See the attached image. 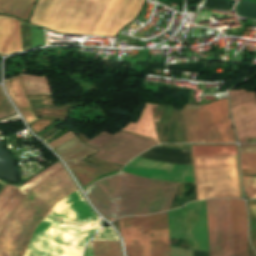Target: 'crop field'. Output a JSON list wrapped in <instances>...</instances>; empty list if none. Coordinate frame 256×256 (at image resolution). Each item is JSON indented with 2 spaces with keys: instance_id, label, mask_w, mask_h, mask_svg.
Wrapping results in <instances>:
<instances>
[{
  "instance_id": "obj_22",
  "label": "crop field",
  "mask_w": 256,
  "mask_h": 256,
  "mask_svg": "<svg viewBox=\"0 0 256 256\" xmlns=\"http://www.w3.org/2000/svg\"><path fill=\"white\" fill-rule=\"evenodd\" d=\"M23 51L31 48L30 26L20 22Z\"/></svg>"
},
{
  "instance_id": "obj_20",
  "label": "crop field",
  "mask_w": 256,
  "mask_h": 256,
  "mask_svg": "<svg viewBox=\"0 0 256 256\" xmlns=\"http://www.w3.org/2000/svg\"><path fill=\"white\" fill-rule=\"evenodd\" d=\"M193 156H227L237 155L236 145L226 146H192Z\"/></svg>"
},
{
  "instance_id": "obj_25",
  "label": "crop field",
  "mask_w": 256,
  "mask_h": 256,
  "mask_svg": "<svg viewBox=\"0 0 256 256\" xmlns=\"http://www.w3.org/2000/svg\"><path fill=\"white\" fill-rule=\"evenodd\" d=\"M16 52L22 51L20 40L19 21L13 18Z\"/></svg>"
},
{
  "instance_id": "obj_13",
  "label": "crop field",
  "mask_w": 256,
  "mask_h": 256,
  "mask_svg": "<svg viewBox=\"0 0 256 256\" xmlns=\"http://www.w3.org/2000/svg\"><path fill=\"white\" fill-rule=\"evenodd\" d=\"M229 204H230L234 256H243V251H244V256H247L246 248H247L248 236H247V210H246L245 201L239 200L242 239H243V251H242V239H241L238 200L229 199Z\"/></svg>"
},
{
  "instance_id": "obj_24",
  "label": "crop field",
  "mask_w": 256,
  "mask_h": 256,
  "mask_svg": "<svg viewBox=\"0 0 256 256\" xmlns=\"http://www.w3.org/2000/svg\"><path fill=\"white\" fill-rule=\"evenodd\" d=\"M31 41L32 47H38L43 45L42 31L31 26Z\"/></svg>"
},
{
  "instance_id": "obj_5",
  "label": "crop field",
  "mask_w": 256,
  "mask_h": 256,
  "mask_svg": "<svg viewBox=\"0 0 256 256\" xmlns=\"http://www.w3.org/2000/svg\"><path fill=\"white\" fill-rule=\"evenodd\" d=\"M188 143L235 142L227 98L182 110Z\"/></svg>"
},
{
  "instance_id": "obj_17",
  "label": "crop field",
  "mask_w": 256,
  "mask_h": 256,
  "mask_svg": "<svg viewBox=\"0 0 256 256\" xmlns=\"http://www.w3.org/2000/svg\"><path fill=\"white\" fill-rule=\"evenodd\" d=\"M15 52L12 18L0 15V54Z\"/></svg>"
},
{
  "instance_id": "obj_15",
  "label": "crop field",
  "mask_w": 256,
  "mask_h": 256,
  "mask_svg": "<svg viewBox=\"0 0 256 256\" xmlns=\"http://www.w3.org/2000/svg\"><path fill=\"white\" fill-rule=\"evenodd\" d=\"M53 150L65 160L69 168L97 151L84 145L76 137Z\"/></svg>"
},
{
  "instance_id": "obj_19",
  "label": "crop field",
  "mask_w": 256,
  "mask_h": 256,
  "mask_svg": "<svg viewBox=\"0 0 256 256\" xmlns=\"http://www.w3.org/2000/svg\"><path fill=\"white\" fill-rule=\"evenodd\" d=\"M27 95L52 94L46 77L21 76Z\"/></svg>"
},
{
  "instance_id": "obj_27",
  "label": "crop field",
  "mask_w": 256,
  "mask_h": 256,
  "mask_svg": "<svg viewBox=\"0 0 256 256\" xmlns=\"http://www.w3.org/2000/svg\"><path fill=\"white\" fill-rule=\"evenodd\" d=\"M242 175L256 174V169H241Z\"/></svg>"
},
{
  "instance_id": "obj_3",
  "label": "crop field",
  "mask_w": 256,
  "mask_h": 256,
  "mask_svg": "<svg viewBox=\"0 0 256 256\" xmlns=\"http://www.w3.org/2000/svg\"><path fill=\"white\" fill-rule=\"evenodd\" d=\"M178 185L120 172L93 184L85 193L103 216L117 219L168 210Z\"/></svg>"
},
{
  "instance_id": "obj_1",
  "label": "crop field",
  "mask_w": 256,
  "mask_h": 256,
  "mask_svg": "<svg viewBox=\"0 0 256 256\" xmlns=\"http://www.w3.org/2000/svg\"><path fill=\"white\" fill-rule=\"evenodd\" d=\"M145 0H38L30 23L65 33L116 36Z\"/></svg>"
},
{
  "instance_id": "obj_7",
  "label": "crop field",
  "mask_w": 256,
  "mask_h": 256,
  "mask_svg": "<svg viewBox=\"0 0 256 256\" xmlns=\"http://www.w3.org/2000/svg\"><path fill=\"white\" fill-rule=\"evenodd\" d=\"M124 228H137L142 234H149V231L168 228L167 212L161 214L148 215L144 217H126L121 219ZM120 234L124 245H132L131 239H142L143 256H170L168 229L150 232V235H141L136 229H123L119 219ZM148 239L159 240L152 241ZM133 246H124L127 256H142L141 240H132Z\"/></svg>"
},
{
  "instance_id": "obj_29",
  "label": "crop field",
  "mask_w": 256,
  "mask_h": 256,
  "mask_svg": "<svg viewBox=\"0 0 256 256\" xmlns=\"http://www.w3.org/2000/svg\"><path fill=\"white\" fill-rule=\"evenodd\" d=\"M200 29L197 28L195 35H191V37H199L201 38V32H199Z\"/></svg>"
},
{
  "instance_id": "obj_4",
  "label": "crop field",
  "mask_w": 256,
  "mask_h": 256,
  "mask_svg": "<svg viewBox=\"0 0 256 256\" xmlns=\"http://www.w3.org/2000/svg\"><path fill=\"white\" fill-rule=\"evenodd\" d=\"M75 190L64 169L31 190L2 227L0 256H23L37 225L57 202Z\"/></svg>"
},
{
  "instance_id": "obj_21",
  "label": "crop field",
  "mask_w": 256,
  "mask_h": 256,
  "mask_svg": "<svg viewBox=\"0 0 256 256\" xmlns=\"http://www.w3.org/2000/svg\"><path fill=\"white\" fill-rule=\"evenodd\" d=\"M244 190L248 198H256V177H242Z\"/></svg>"
},
{
  "instance_id": "obj_8",
  "label": "crop field",
  "mask_w": 256,
  "mask_h": 256,
  "mask_svg": "<svg viewBox=\"0 0 256 256\" xmlns=\"http://www.w3.org/2000/svg\"><path fill=\"white\" fill-rule=\"evenodd\" d=\"M86 143L100 150L94 157L122 165H125L136 155L157 145L152 140L122 131L113 135L104 131Z\"/></svg>"
},
{
  "instance_id": "obj_6",
  "label": "crop field",
  "mask_w": 256,
  "mask_h": 256,
  "mask_svg": "<svg viewBox=\"0 0 256 256\" xmlns=\"http://www.w3.org/2000/svg\"><path fill=\"white\" fill-rule=\"evenodd\" d=\"M198 200L242 198L237 156L193 157Z\"/></svg>"
},
{
  "instance_id": "obj_31",
  "label": "crop field",
  "mask_w": 256,
  "mask_h": 256,
  "mask_svg": "<svg viewBox=\"0 0 256 256\" xmlns=\"http://www.w3.org/2000/svg\"><path fill=\"white\" fill-rule=\"evenodd\" d=\"M165 148H168V147H165ZM171 149H176V148H171ZM151 150V149H150ZM176 150H185V149H176ZM144 154V153H143ZM142 155V154H141ZM140 155V156H141ZM190 158H191V150H190ZM191 165H192V162H191Z\"/></svg>"
},
{
  "instance_id": "obj_11",
  "label": "crop field",
  "mask_w": 256,
  "mask_h": 256,
  "mask_svg": "<svg viewBox=\"0 0 256 256\" xmlns=\"http://www.w3.org/2000/svg\"><path fill=\"white\" fill-rule=\"evenodd\" d=\"M158 144L186 143L180 110L150 105Z\"/></svg>"
},
{
  "instance_id": "obj_26",
  "label": "crop field",
  "mask_w": 256,
  "mask_h": 256,
  "mask_svg": "<svg viewBox=\"0 0 256 256\" xmlns=\"http://www.w3.org/2000/svg\"><path fill=\"white\" fill-rule=\"evenodd\" d=\"M76 136L75 134H73L71 131L64 134L63 136L55 139L54 141L50 142L49 145H51L53 148L66 142L67 140H69L70 138Z\"/></svg>"
},
{
  "instance_id": "obj_2",
  "label": "crop field",
  "mask_w": 256,
  "mask_h": 256,
  "mask_svg": "<svg viewBox=\"0 0 256 256\" xmlns=\"http://www.w3.org/2000/svg\"><path fill=\"white\" fill-rule=\"evenodd\" d=\"M99 227L98 217L77 190L57 203L38 225L24 256H81Z\"/></svg>"
},
{
  "instance_id": "obj_23",
  "label": "crop field",
  "mask_w": 256,
  "mask_h": 256,
  "mask_svg": "<svg viewBox=\"0 0 256 256\" xmlns=\"http://www.w3.org/2000/svg\"><path fill=\"white\" fill-rule=\"evenodd\" d=\"M241 168H256V153L241 154Z\"/></svg>"
},
{
  "instance_id": "obj_14",
  "label": "crop field",
  "mask_w": 256,
  "mask_h": 256,
  "mask_svg": "<svg viewBox=\"0 0 256 256\" xmlns=\"http://www.w3.org/2000/svg\"><path fill=\"white\" fill-rule=\"evenodd\" d=\"M119 240L111 227H102L92 241ZM87 247L84 256H122L119 241L93 242Z\"/></svg>"
},
{
  "instance_id": "obj_28",
  "label": "crop field",
  "mask_w": 256,
  "mask_h": 256,
  "mask_svg": "<svg viewBox=\"0 0 256 256\" xmlns=\"http://www.w3.org/2000/svg\"><path fill=\"white\" fill-rule=\"evenodd\" d=\"M241 153H250V152H256V147H251V148H240Z\"/></svg>"
},
{
  "instance_id": "obj_33",
  "label": "crop field",
  "mask_w": 256,
  "mask_h": 256,
  "mask_svg": "<svg viewBox=\"0 0 256 256\" xmlns=\"http://www.w3.org/2000/svg\"><path fill=\"white\" fill-rule=\"evenodd\" d=\"M195 30V29H194ZM194 32V31H193Z\"/></svg>"
},
{
  "instance_id": "obj_30",
  "label": "crop field",
  "mask_w": 256,
  "mask_h": 256,
  "mask_svg": "<svg viewBox=\"0 0 256 256\" xmlns=\"http://www.w3.org/2000/svg\"><path fill=\"white\" fill-rule=\"evenodd\" d=\"M5 97H4V95H3V93H2V90H1V88H0V102L4 99Z\"/></svg>"
},
{
  "instance_id": "obj_18",
  "label": "crop field",
  "mask_w": 256,
  "mask_h": 256,
  "mask_svg": "<svg viewBox=\"0 0 256 256\" xmlns=\"http://www.w3.org/2000/svg\"><path fill=\"white\" fill-rule=\"evenodd\" d=\"M35 0H0V12L10 13L28 20Z\"/></svg>"
},
{
  "instance_id": "obj_9",
  "label": "crop field",
  "mask_w": 256,
  "mask_h": 256,
  "mask_svg": "<svg viewBox=\"0 0 256 256\" xmlns=\"http://www.w3.org/2000/svg\"><path fill=\"white\" fill-rule=\"evenodd\" d=\"M206 206L211 256H233L228 199H209Z\"/></svg>"
},
{
  "instance_id": "obj_12",
  "label": "crop field",
  "mask_w": 256,
  "mask_h": 256,
  "mask_svg": "<svg viewBox=\"0 0 256 256\" xmlns=\"http://www.w3.org/2000/svg\"><path fill=\"white\" fill-rule=\"evenodd\" d=\"M63 168L58 161L21 186L6 185L5 188L0 192V229L7 217L12 213V211L31 189Z\"/></svg>"
},
{
  "instance_id": "obj_16",
  "label": "crop field",
  "mask_w": 256,
  "mask_h": 256,
  "mask_svg": "<svg viewBox=\"0 0 256 256\" xmlns=\"http://www.w3.org/2000/svg\"><path fill=\"white\" fill-rule=\"evenodd\" d=\"M6 89L17 105L18 109L28 122V124L38 120L34 117L32 110L27 102L25 94L23 92V85L20 77H14L5 81Z\"/></svg>"
},
{
  "instance_id": "obj_32",
  "label": "crop field",
  "mask_w": 256,
  "mask_h": 256,
  "mask_svg": "<svg viewBox=\"0 0 256 256\" xmlns=\"http://www.w3.org/2000/svg\"><path fill=\"white\" fill-rule=\"evenodd\" d=\"M250 146H256V144H251V145H240V147H250Z\"/></svg>"
},
{
  "instance_id": "obj_10",
  "label": "crop field",
  "mask_w": 256,
  "mask_h": 256,
  "mask_svg": "<svg viewBox=\"0 0 256 256\" xmlns=\"http://www.w3.org/2000/svg\"><path fill=\"white\" fill-rule=\"evenodd\" d=\"M233 123L240 143L256 138V93L229 91Z\"/></svg>"
}]
</instances>
